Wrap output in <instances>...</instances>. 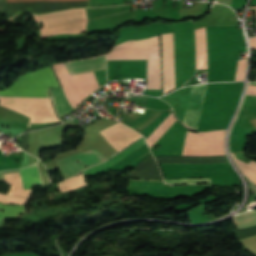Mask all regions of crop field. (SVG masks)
Here are the masks:
<instances>
[{"mask_svg":"<svg viewBox=\"0 0 256 256\" xmlns=\"http://www.w3.org/2000/svg\"><path fill=\"white\" fill-rule=\"evenodd\" d=\"M60 87L51 68L17 78L14 85L0 91L1 96L50 97L47 88Z\"/></svg>","mask_w":256,"mask_h":256,"instance_id":"obj_1","label":"crop field"},{"mask_svg":"<svg viewBox=\"0 0 256 256\" xmlns=\"http://www.w3.org/2000/svg\"><path fill=\"white\" fill-rule=\"evenodd\" d=\"M35 19L37 22H43L42 37L84 32L87 24L85 9H73L44 16H36Z\"/></svg>","mask_w":256,"mask_h":256,"instance_id":"obj_2","label":"crop field"},{"mask_svg":"<svg viewBox=\"0 0 256 256\" xmlns=\"http://www.w3.org/2000/svg\"><path fill=\"white\" fill-rule=\"evenodd\" d=\"M52 68L73 109L76 108L81 103V101H83V98L85 96H87L88 94H90L91 92L99 88L93 72L70 76L75 86V89L81 99L80 101L74 89V86L72 84V81L69 77V74L65 68V64L64 63L59 64V65L53 66Z\"/></svg>","mask_w":256,"mask_h":256,"instance_id":"obj_3","label":"crop field"},{"mask_svg":"<svg viewBox=\"0 0 256 256\" xmlns=\"http://www.w3.org/2000/svg\"><path fill=\"white\" fill-rule=\"evenodd\" d=\"M225 130L215 132L187 131L183 156H214L225 155Z\"/></svg>","mask_w":256,"mask_h":256,"instance_id":"obj_4","label":"crop field"},{"mask_svg":"<svg viewBox=\"0 0 256 256\" xmlns=\"http://www.w3.org/2000/svg\"><path fill=\"white\" fill-rule=\"evenodd\" d=\"M48 1H90V0H6V2H48ZM90 7V2H48V3H6V16L9 19L28 11L44 14L71 8Z\"/></svg>","mask_w":256,"mask_h":256,"instance_id":"obj_5","label":"crop field"},{"mask_svg":"<svg viewBox=\"0 0 256 256\" xmlns=\"http://www.w3.org/2000/svg\"><path fill=\"white\" fill-rule=\"evenodd\" d=\"M106 59H160L159 36L138 41H126L113 47Z\"/></svg>","mask_w":256,"mask_h":256,"instance_id":"obj_6","label":"crop field"},{"mask_svg":"<svg viewBox=\"0 0 256 256\" xmlns=\"http://www.w3.org/2000/svg\"><path fill=\"white\" fill-rule=\"evenodd\" d=\"M78 161L82 165L86 167H91L93 165H96L98 163H101L105 161L106 158L105 156L101 155L95 150L92 151H87L83 153H79L76 155L69 156L67 158H64L62 160L57 161L58 166L61 168V170L67 174L69 177L79 173L80 171L86 169L82 165L76 163L74 161Z\"/></svg>","mask_w":256,"mask_h":256,"instance_id":"obj_7","label":"crop field"},{"mask_svg":"<svg viewBox=\"0 0 256 256\" xmlns=\"http://www.w3.org/2000/svg\"><path fill=\"white\" fill-rule=\"evenodd\" d=\"M164 94L175 89L173 33L162 36Z\"/></svg>","mask_w":256,"mask_h":256,"instance_id":"obj_8","label":"crop field"},{"mask_svg":"<svg viewBox=\"0 0 256 256\" xmlns=\"http://www.w3.org/2000/svg\"><path fill=\"white\" fill-rule=\"evenodd\" d=\"M205 86L206 84L192 86L191 89L187 113L184 122V125L191 130H196L197 128Z\"/></svg>","mask_w":256,"mask_h":256,"instance_id":"obj_9","label":"crop field"},{"mask_svg":"<svg viewBox=\"0 0 256 256\" xmlns=\"http://www.w3.org/2000/svg\"><path fill=\"white\" fill-rule=\"evenodd\" d=\"M70 75L103 70L106 68L105 56L79 60L74 62L65 63Z\"/></svg>","mask_w":256,"mask_h":256,"instance_id":"obj_10","label":"crop field"},{"mask_svg":"<svg viewBox=\"0 0 256 256\" xmlns=\"http://www.w3.org/2000/svg\"><path fill=\"white\" fill-rule=\"evenodd\" d=\"M143 144H145L144 138L141 139L140 141H138L137 143H135L134 145H132L131 147H129L128 149H126L125 151H123L122 153H120L119 155H117L116 157H114L113 159H111L110 161H108V162L106 161L96 167H93L91 169L83 171L84 175L87 176L95 171H98L100 169H103L105 167H108L110 165H113V164L123 160L125 157L130 155L132 152H134L136 149L141 147Z\"/></svg>","mask_w":256,"mask_h":256,"instance_id":"obj_11","label":"crop field"},{"mask_svg":"<svg viewBox=\"0 0 256 256\" xmlns=\"http://www.w3.org/2000/svg\"><path fill=\"white\" fill-rule=\"evenodd\" d=\"M20 173L24 189L34 188L42 185L36 164L31 167L21 169Z\"/></svg>","mask_w":256,"mask_h":256,"instance_id":"obj_12","label":"crop field"},{"mask_svg":"<svg viewBox=\"0 0 256 256\" xmlns=\"http://www.w3.org/2000/svg\"><path fill=\"white\" fill-rule=\"evenodd\" d=\"M51 92H52L55 108L59 117L66 114L70 110H72V107L66 100L65 95L61 88L53 89L51 90Z\"/></svg>","mask_w":256,"mask_h":256,"instance_id":"obj_13","label":"crop field"},{"mask_svg":"<svg viewBox=\"0 0 256 256\" xmlns=\"http://www.w3.org/2000/svg\"><path fill=\"white\" fill-rule=\"evenodd\" d=\"M176 121L172 112L166 119L153 131V133L146 139L149 148L164 134V132Z\"/></svg>","mask_w":256,"mask_h":256,"instance_id":"obj_14","label":"crop field"},{"mask_svg":"<svg viewBox=\"0 0 256 256\" xmlns=\"http://www.w3.org/2000/svg\"><path fill=\"white\" fill-rule=\"evenodd\" d=\"M238 229L256 225V211L245 212L233 218Z\"/></svg>","mask_w":256,"mask_h":256,"instance_id":"obj_15","label":"crop field"},{"mask_svg":"<svg viewBox=\"0 0 256 256\" xmlns=\"http://www.w3.org/2000/svg\"><path fill=\"white\" fill-rule=\"evenodd\" d=\"M1 208H3L4 211L0 213V223H3L6 219L15 218L25 211V206L19 205H2L0 203V210Z\"/></svg>","mask_w":256,"mask_h":256,"instance_id":"obj_16","label":"crop field"},{"mask_svg":"<svg viewBox=\"0 0 256 256\" xmlns=\"http://www.w3.org/2000/svg\"><path fill=\"white\" fill-rule=\"evenodd\" d=\"M236 164L255 184H256V162L251 161L249 164L235 158L234 154L231 153Z\"/></svg>","mask_w":256,"mask_h":256,"instance_id":"obj_17","label":"crop field"},{"mask_svg":"<svg viewBox=\"0 0 256 256\" xmlns=\"http://www.w3.org/2000/svg\"><path fill=\"white\" fill-rule=\"evenodd\" d=\"M169 184H180V183H211L210 178L206 179H173V180H164Z\"/></svg>","mask_w":256,"mask_h":256,"instance_id":"obj_18","label":"crop field"},{"mask_svg":"<svg viewBox=\"0 0 256 256\" xmlns=\"http://www.w3.org/2000/svg\"><path fill=\"white\" fill-rule=\"evenodd\" d=\"M246 59L238 61L235 81L243 80L246 68Z\"/></svg>","mask_w":256,"mask_h":256,"instance_id":"obj_19","label":"crop field"},{"mask_svg":"<svg viewBox=\"0 0 256 256\" xmlns=\"http://www.w3.org/2000/svg\"><path fill=\"white\" fill-rule=\"evenodd\" d=\"M247 94L256 95V83H250Z\"/></svg>","mask_w":256,"mask_h":256,"instance_id":"obj_20","label":"crop field"},{"mask_svg":"<svg viewBox=\"0 0 256 256\" xmlns=\"http://www.w3.org/2000/svg\"><path fill=\"white\" fill-rule=\"evenodd\" d=\"M251 48L256 49V37L250 39Z\"/></svg>","mask_w":256,"mask_h":256,"instance_id":"obj_21","label":"crop field"},{"mask_svg":"<svg viewBox=\"0 0 256 256\" xmlns=\"http://www.w3.org/2000/svg\"><path fill=\"white\" fill-rule=\"evenodd\" d=\"M5 0H0V14H3Z\"/></svg>","mask_w":256,"mask_h":256,"instance_id":"obj_22","label":"crop field"}]
</instances>
